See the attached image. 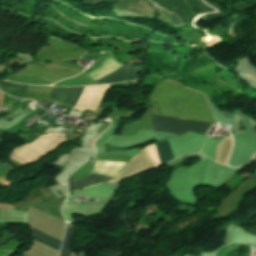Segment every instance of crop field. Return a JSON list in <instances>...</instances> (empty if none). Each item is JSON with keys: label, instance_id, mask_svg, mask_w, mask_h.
<instances>
[{"label": "crop field", "instance_id": "1", "mask_svg": "<svg viewBox=\"0 0 256 256\" xmlns=\"http://www.w3.org/2000/svg\"><path fill=\"white\" fill-rule=\"evenodd\" d=\"M157 87L166 90L176 100L208 105L205 99V95L197 91L186 89L174 82L163 79L157 85ZM157 87L155 88V90L153 89L154 91L148 98L153 99L157 102L161 114L179 117V105L180 112L213 117L208 106L179 101H177V105L176 101L171 95ZM183 113H180V118L196 119L215 123L214 119L210 117Z\"/></svg>", "mask_w": 256, "mask_h": 256}, {"label": "crop field", "instance_id": "2", "mask_svg": "<svg viewBox=\"0 0 256 256\" xmlns=\"http://www.w3.org/2000/svg\"><path fill=\"white\" fill-rule=\"evenodd\" d=\"M152 118L199 124V125H207V126L212 125L211 123L197 122V121H191V120H181V119L168 118V117L157 116V115H152ZM155 119H152L154 124V131H164V132H170L176 135H181L189 130L206 134V131L209 129V127L207 126H199V125L177 123V122L155 120Z\"/></svg>", "mask_w": 256, "mask_h": 256}, {"label": "crop field", "instance_id": "3", "mask_svg": "<svg viewBox=\"0 0 256 256\" xmlns=\"http://www.w3.org/2000/svg\"><path fill=\"white\" fill-rule=\"evenodd\" d=\"M142 71V69L133 67L131 65H124L120 69L116 70L115 72L106 75L94 82L97 84H104V83H117L123 81H133L135 80L137 75Z\"/></svg>", "mask_w": 256, "mask_h": 256}, {"label": "crop field", "instance_id": "4", "mask_svg": "<svg viewBox=\"0 0 256 256\" xmlns=\"http://www.w3.org/2000/svg\"><path fill=\"white\" fill-rule=\"evenodd\" d=\"M56 198L57 197L50 190H48L46 187H43L33 191L25 199L16 204H12V206L18 209H27L31 206L53 201Z\"/></svg>", "mask_w": 256, "mask_h": 256}, {"label": "crop field", "instance_id": "5", "mask_svg": "<svg viewBox=\"0 0 256 256\" xmlns=\"http://www.w3.org/2000/svg\"><path fill=\"white\" fill-rule=\"evenodd\" d=\"M46 43H49L54 47L61 60L80 59V55L83 53V49L52 37H50Z\"/></svg>", "mask_w": 256, "mask_h": 256}, {"label": "crop field", "instance_id": "6", "mask_svg": "<svg viewBox=\"0 0 256 256\" xmlns=\"http://www.w3.org/2000/svg\"><path fill=\"white\" fill-rule=\"evenodd\" d=\"M84 87L78 88H59L55 87L50 98L57 99L75 105Z\"/></svg>", "mask_w": 256, "mask_h": 256}, {"label": "crop field", "instance_id": "7", "mask_svg": "<svg viewBox=\"0 0 256 256\" xmlns=\"http://www.w3.org/2000/svg\"><path fill=\"white\" fill-rule=\"evenodd\" d=\"M110 179H112V177L96 175V174H92L90 177H88L84 180H81L79 182L69 179L70 192L78 190V189L86 187V186H89V185L98 184L100 182H106Z\"/></svg>", "mask_w": 256, "mask_h": 256}, {"label": "crop field", "instance_id": "8", "mask_svg": "<svg viewBox=\"0 0 256 256\" xmlns=\"http://www.w3.org/2000/svg\"><path fill=\"white\" fill-rule=\"evenodd\" d=\"M26 85H16L9 82L0 81V89L17 97H23L26 92Z\"/></svg>", "mask_w": 256, "mask_h": 256}, {"label": "crop field", "instance_id": "9", "mask_svg": "<svg viewBox=\"0 0 256 256\" xmlns=\"http://www.w3.org/2000/svg\"><path fill=\"white\" fill-rule=\"evenodd\" d=\"M32 228V227H31ZM32 237L59 250V247H60V241L32 228Z\"/></svg>", "mask_w": 256, "mask_h": 256}, {"label": "crop field", "instance_id": "10", "mask_svg": "<svg viewBox=\"0 0 256 256\" xmlns=\"http://www.w3.org/2000/svg\"><path fill=\"white\" fill-rule=\"evenodd\" d=\"M156 145L162 164L174 159L168 140Z\"/></svg>", "mask_w": 256, "mask_h": 256}, {"label": "crop field", "instance_id": "11", "mask_svg": "<svg viewBox=\"0 0 256 256\" xmlns=\"http://www.w3.org/2000/svg\"><path fill=\"white\" fill-rule=\"evenodd\" d=\"M75 229L74 228H67V233L62 245L61 249V256H70L71 250L69 249L71 239L74 235Z\"/></svg>", "mask_w": 256, "mask_h": 256}, {"label": "crop field", "instance_id": "12", "mask_svg": "<svg viewBox=\"0 0 256 256\" xmlns=\"http://www.w3.org/2000/svg\"><path fill=\"white\" fill-rule=\"evenodd\" d=\"M106 0H90V1H84L83 4H89V3H98Z\"/></svg>", "mask_w": 256, "mask_h": 256}, {"label": "crop field", "instance_id": "13", "mask_svg": "<svg viewBox=\"0 0 256 256\" xmlns=\"http://www.w3.org/2000/svg\"><path fill=\"white\" fill-rule=\"evenodd\" d=\"M250 232H252V233L256 234V232H255V231H250Z\"/></svg>", "mask_w": 256, "mask_h": 256}, {"label": "crop field", "instance_id": "14", "mask_svg": "<svg viewBox=\"0 0 256 256\" xmlns=\"http://www.w3.org/2000/svg\"><path fill=\"white\" fill-rule=\"evenodd\" d=\"M253 177L256 178V175H254Z\"/></svg>", "mask_w": 256, "mask_h": 256}]
</instances>
